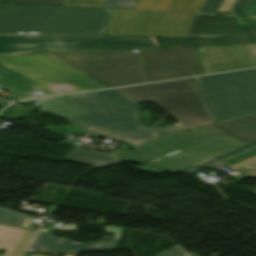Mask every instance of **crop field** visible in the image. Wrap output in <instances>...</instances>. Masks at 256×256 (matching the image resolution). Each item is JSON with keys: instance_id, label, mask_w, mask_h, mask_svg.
I'll list each match as a JSON object with an SVG mask.
<instances>
[{"instance_id": "obj_30", "label": "crop field", "mask_w": 256, "mask_h": 256, "mask_svg": "<svg viewBox=\"0 0 256 256\" xmlns=\"http://www.w3.org/2000/svg\"><path fill=\"white\" fill-rule=\"evenodd\" d=\"M250 114L256 117V112H254V113H250Z\"/></svg>"}, {"instance_id": "obj_7", "label": "crop field", "mask_w": 256, "mask_h": 256, "mask_svg": "<svg viewBox=\"0 0 256 256\" xmlns=\"http://www.w3.org/2000/svg\"><path fill=\"white\" fill-rule=\"evenodd\" d=\"M196 80L218 121L256 111V69Z\"/></svg>"}, {"instance_id": "obj_29", "label": "crop field", "mask_w": 256, "mask_h": 256, "mask_svg": "<svg viewBox=\"0 0 256 256\" xmlns=\"http://www.w3.org/2000/svg\"><path fill=\"white\" fill-rule=\"evenodd\" d=\"M8 103H10L9 100L0 97V107H4V106H6Z\"/></svg>"}, {"instance_id": "obj_22", "label": "crop field", "mask_w": 256, "mask_h": 256, "mask_svg": "<svg viewBox=\"0 0 256 256\" xmlns=\"http://www.w3.org/2000/svg\"><path fill=\"white\" fill-rule=\"evenodd\" d=\"M140 0H104L101 7L135 9Z\"/></svg>"}, {"instance_id": "obj_9", "label": "crop field", "mask_w": 256, "mask_h": 256, "mask_svg": "<svg viewBox=\"0 0 256 256\" xmlns=\"http://www.w3.org/2000/svg\"><path fill=\"white\" fill-rule=\"evenodd\" d=\"M241 146L244 145L223 135L193 149L177 152L138 169L157 173L168 170L176 174Z\"/></svg>"}, {"instance_id": "obj_26", "label": "crop field", "mask_w": 256, "mask_h": 256, "mask_svg": "<svg viewBox=\"0 0 256 256\" xmlns=\"http://www.w3.org/2000/svg\"><path fill=\"white\" fill-rule=\"evenodd\" d=\"M157 256H190L188 252H186L184 249H182L180 246L176 245L173 246Z\"/></svg>"}, {"instance_id": "obj_16", "label": "crop field", "mask_w": 256, "mask_h": 256, "mask_svg": "<svg viewBox=\"0 0 256 256\" xmlns=\"http://www.w3.org/2000/svg\"><path fill=\"white\" fill-rule=\"evenodd\" d=\"M32 101H37L43 107L42 109H39L40 111L53 114L62 118L84 114L64 96L20 101L19 103L24 104Z\"/></svg>"}, {"instance_id": "obj_20", "label": "crop field", "mask_w": 256, "mask_h": 256, "mask_svg": "<svg viewBox=\"0 0 256 256\" xmlns=\"http://www.w3.org/2000/svg\"><path fill=\"white\" fill-rule=\"evenodd\" d=\"M255 145H256V142H253V143H251V144L246 145V146L243 147V148H238V149H236V150H234V151H231V152H229V153H227V154H225V155H222V156H220V157H218V158H215V159H213V160H210V161H208V162H205V163H203V164H200V165H198V166H196V167H193V168L188 169V170H186V171H183V172H181V173H184V174H186V175H189V174H191V173L197 171V167H199V166L205 167V166H207V165H209V164H212V163H215V162H217V161L226 159V158H228V157H230V156H232V155H235V154H237V153H239V152H242V151H244V150H247V149H249V148H251V147H253V146H255Z\"/></svg>"}, {"instance_id": "obj_8", "label": "crop field", "mask_w": 256, "mask_h": 256, "mask_svg": "<svg viewBox=\"0 0 256 256\" xmlns=\"http://www.w3.org/2000/svg\"><path fill=\"white\" fill-rule=\"evenodd\" d=\"M256 44V21L244 16L195 13L189 37H163L161 47Z\"/></svg>"}, {"instance_id": "obj_1", "label": "crop field", "mask_w": 256, "mask_h": 256, "mask_svg": "<svg viewBox=\"0 0 256 256\" xmlns=\"http://www.w3.org/2000/svg\"><path fill=\"white\" fill-rule=\"evenodd\" d=\"M137 51L0 56V87L12 93L7 98L23 100L33 92L41 97L202 73L195 48Z\"/></svg>"}, {"instance_id": "obj_12", "label": "crop field", "mask_w": 256, "mask_h": 256, "mask_svg": "<svg viewBox=\"0 0 256 256\" xmlns=\"http://www.w3.org/2000/svg\"><path fill=\"white\" fill-rule=\"evenodd\" d=\"M122 228L106 227L105 233H115V238L110 241L93 243H76L67 239L51 237L53 230L47 235L38 234L31 247L60 250L75 253L97 252L115 250Z\"/></svg>"}, {"instance_id": "obj_5", "label": "crop field", "mask_w": 256, "mask_h": 256, "mask_svg": "<svg viewBox=\"0 0 256 256\" xmlns=\"http://www.w3.org/2000/svg\"><path fill=\"white\" fill-rule=\"evenodd\" d=\"M205 0H172L166 11L113 9L107 35L188 36Z\"/></svg>"}, {"instance_id": "obj_23", "label": "crop field", "mask_w": 256, "mask_h": 256, "mask_svg": "<svg viewBox=\"0 0 256 256\" xmlns=\"http://www.w3.org/2000/svg\"><path fill=\"white\" fill-rule=\"evenodd\" d=\"M35 233L30 231H25L23 236L21 237L20 241L18 242L17 246L10 254V256H22L25 248L31 242L32 238L34 237Z\"/></svg>"}, {"instance_id": "obj_6", "label": "crop field", "mask_w": 256, "mask_h": 256, "mask_svg": "<svg viewBox=\"0 0 256 256\" xmlns=\"http://www.w3.org/2000/svg\"><path fill=\"white\" fill-rule=\"evenodd\" d=\"M138 105H131L83 116L66 118L89 135H101L133 146L184 132L172 125L149 128L137 114Z\"/></svg>"}, {"instance_id": "obj_25", "label": "crop field", "mask_w": 256, "mask_h": 256, "mask_svg": "<svg viewBox=\"0 0 256 256\" xmlns=\"http://www.w3.org/2000/svg\"><path fill=\"white\" fill-rule=\"evenodd\" d=\"M64 0H0V2L62 5Z\"/></svg>"}, {"instance_id": "obj_10", "label": "crop field", "mask_w": 256, "mask_h": 256, "mask_svg": "<svg viewBox=\"0 0 256 256\" xmlns=\"http://www.w3.org/2000/svg\"><path fill=\"white\" fill-rule=\"evenodd\" d=\"M223 134L207 127L168 139L136 146L141 156L116 153L119 160L151 163L174 152L193 148ZM200 139L199 141H195Z\"/></svg>"}, {"instance_id": "obj_11", "label": "crop field", "mask_w": 256, "mask_h": 256, "mask_svg": "<svg viewBox=\"0 0 256 256\" xmlns=\"http://www.w3.org/2000/svg\"><path fill=\"white\" fill-rule=\"evenodd\" d=\"M206 74L256 66V45L198 47Z\"/></svg>"}, {"instance_id": "obj_4", "label": "crop field", "mask_w": 256, "mask_h": 256, "mask_svg": "<svg viewBox=\"0 0 256 256\" xmlns=\"http://www.w3.org/2000/svg\"><path fill=\"white\" fill-rule=\"evenodd\" d=\"M149 48H160L155 37L0 35V55L38 52L108 51Z\"/></svg>"}, {"instance_id": "obj_27", "label": "crop field", "mask_w": 256, "mask_h": 256, "mask_svg": "<svg viewBox=\"0 0 256 256\" xmlns=\"http://www.w3.org/2000/svg\"><path fill=\"white\" fill-rule=\"evenodd\" d=\"M239 14H256V0H248Z\"/></svg>"}, {"instance_id": "obj_24", "label": "crop field", "mask_w": 256, "mask_h": 256, "mask_svg": "<svg viewBox=\"0 0 256 256\" xmlns=\"http://www.w3.org/2000/svg\"><path fill=\"white\" fill-rule=\"evenodd\" d=\"M103 0H65L63 5L99 7Z\"/></svg>"}, {"instance_id": "obj_14", "label": "crop field", "mask_w": 256, "mask_h": 256, "mask_svg": "<svg viewBox=\"0 0 256 256\" xmlns=\"http://www.w3.org/2000/svg\"><path fill=\"white\" fill-rule=\"evenodd\" d=\"M244 144L256 140V118L248 115L210 126Z\"/></svg>"}, {"instance_id": "obj_17", "label": "crop field", "mask_w": 256, "mask_h": 256, "mask_svg": "<svg viewBox=\"0 0 256 256\" xmlns=\"http://www.w3.org/2000/svg\"><path fill=\"white\" fill-rule=\"evenodd\" d=\"M244 0H206L199 12L236 14Z\"/></svg>"}, {"instance_id": "obj_31", "label": "crop field", "mask_w": 256, "mask_h": 256, "mask_svg": "<svg viewBox=\"0 0 256 256\" xmlns=\"http://www.w3.org/2000/svg\"><path fill=\"white\" fill-rule=\"evenodd\" d=\"M33 256H43V255H37V254H33Z\"/></svg>"}, {"instance_id": "obj_3", "label": "crop field", "mask_w": 256, "mask_h": 256, "mask_svg": "<svg viewBox=\"0 0 256 256\" xmlns=\"http://www.w3.org/2000/svg\"><path fill=\"white\" fill-rule=\"evenodd\" d=\"M133 104L151 100L169 112L186 131L215 123L191 78L116 89Z\"/></svg>"}, {"instance_id": "obj_18", "label": "crop field", "mask_w": 256, "mask_h": 256, "mask_svg": "<svg viewBox=\"0 0 256 256\" xmlns=\"http://www.w3.org/2000/svg\"><path fill=\"white\" fill-rule=\"evenodd\" d=\"M23 233V230L0 226V248L8 249L5 256H9Z\"/></svg>"}, {"instance_id": "obj_19", "label": "crop field", "mask_w": 256, "mask_h": 256, "mask_svg": "<svg viewBox=\"0 0 256 256\" xmlns=\"http://www.w3.org/2000/svg\"><path fill=\"white\" fill-rule=\"evenodd\" d=\"M26 215L0 207V225L21 229Z\"/></svg>"}, {"instance_id": "obj_28", "label": "crop field", "mask_w": 256, "mask_h": 256, "mask_svg": "<svg viewBox=\"0 0 256 256\" xmlns=\"http://www.w3.org/2000/svg\"><path fill=\"white\" fill-rule=\"evenodd\" d=\"M58 230H69V231H76L75 225H61Z\"/></svg>"}, {"instance_id": "obj_2", "label": "crop field", "mask_w": 256, "mask_h": 256, "mask_svg": "<svg viewBox=\"0 0 256 256\" xmlns=\"http://www.w3.org/2000/svg\"><path fill=\"white\" fill-rule=\"evenodd\" d=\"M110 9L0 4V34L103 35Z\"/></svg>"}, {"instance_id": "obj_13", "label": "crop field", "mask_w": 256, "mask_h": 256, "mask_svg": "<svg viewBox=\"0 0 256 256\" xmlns=\"http://www.w3.org/2000/svg\"><path fill=\"white\" fill-rule=\"evenodd\" d=\"M65 97L85 114L132 104L115 89Z\"/></svg>"}, {"instance_id": "obj_15", "label": "crop field", "mask_w": 256, "mask_h": 256, "mask_svg": "<svg viewBox=\"0 0 256 256\" xmlns=\"http://www.w3.org/2000/svg\"><path fill=\"white\" fill-rule=\"evenodd\" d=\"M61 144L75 146L72 149V151L69 153V155L66 157L65 159L66 161L87 164V165H92V166H97L102 168H105L110 164L119 162L115 155L83 149V148H80V146H77L66 140L61 142Z\"/></svg>"}, {"instance_id": "obj_21", "label": "crop field", "mask_w": 256, "mask_h": 256, "mask_svg": "<svg viewBox=\"0 0 256 256\" xmlns=\"http://www.w3.org/2000/svg\"><path fill=\"white\" fill-rule=\"evenodd\" d=\"M171 0H141L136 9L166 10Z\"/></svg>"}]
</instances>
